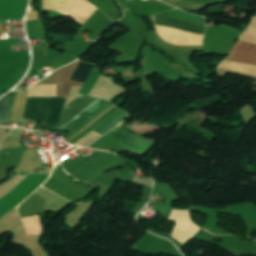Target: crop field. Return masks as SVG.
<instances>
[{"label":"crop field","mask_w":256,"mask_h":256,"mask_svg":"<svg viewBox=\"0 0 256 256\" xmlns=\"http://www.w3.org/2000/svg\"><path fill=\"white\" fill-rule=\"evenodd\" d=\"M16 211V209H14L13 211H11L10 213H8L5 217H3L1 220H0V222L3 220V219H5L6 217H8L9 215H11L13 212H15Z\"/></svg>","instance_id":"crop-field-7"},{"label":"crop field","mask_w":256,"mask_h":256,"mask_svg":"<svg viewBox=\"0 0 256 256\" xmlns=\"http://www.w3.org/2000/svg\"><path fill=\"white\" fill-rule=\"evenodd\" d=\"M95 100H97V98L81 95L77 99L69 103L67 106H65L57 129H60L61 127H63L66 123H68L76 115L82 112ZM110 104L111 103L101 101L98 99L61 129L71 130L69 133L71 134L74 130H76L81 125L86 123L88 120H90L92 117H94L96 114H98L100 111H102L104 108H106ZM127 116H128L127 113L121 111L113 115L112 117H110L108 120H106L104 123H102L93 131L102 135L107 131H109L110 129L114 128L116 125H118L120 121L127 118ZM93 131L74 145L86 147L101 136Z\"/></svg>","instance_id":"crop-field-1"},{"label":"crop field","mask_w":256,"mask_h":256,"mask_svg":"<svg viewBox=\"0 0 256 256\" xmlns=\"http://www.w3.org/2000/svg\"><path fill=\"white\" fill-rule=\"evenodd\" d=\"M152 22L157 25H163V26L174 27V28L190 30V31H195V32H201V33H203L205 30V27H203V26L182 23V22L165 19V18H160V17H153Z\"/></svg>","instance_id":"crop-field-4"},{"label":"crop field","mask_w":256,"mask_h":256,"mask_svg":"<svg viewBox=\"0 0 256 256\" xmlns=\"http://www.w3.org/2000/svg\"><path fill=\"white\" fill-rule=\"evenodd\" d=\"M104 137L141 154H145L154 144V142L129 134L118 127L111 130Z\"/></svg>","instance_id":"crop-field-3"},{"label":"crop field","mask_w":256,"mask_h":256,"mask_svg":"<svg viewBox=\"0 0 256 256\" xmlns=\"http://www.w3.org/2000/svg\"><path fill=\"white\" fill-rule=\"evenodd\" d=\"M92 67L93 65L80 62L79 66L77 67L76 71L72 75L71 79L84 82V80L90 73Z\"/></svg>","instance_id":"crop-field-6"},{"label":"crop field","mask_w":256,"mask_h":256,"mask_svg":"<svg viewBox=\"0 0 256 256\" xmlns=\"http://www.w3.org/2000/svg\"><path fill=\"white\" fill-rule=\"evenodd\" d=\"M67 98H27L23 119L57 127Z\"/></svg>","instance_id":"crop-field-2"},{"label":"crop field","mask_w":256,"mask_h":256,"mask_svg":"<svg viewBox=\"0 0 256 256\" xmlns=\"http://www.w3.org/2000/svg\"><path fill=\"white\" fill-rule=\"evenodd\" d=\"M15 94H16V92L15 93H11L10 97H9V94H8L7 96H5L2 99H0V125L2 124L4 112H5L7 101H8V97H9L7 109H6L4 120H3V124H2V125H6V126L8 125L10 114H11V110H12V106H13V102H14V98H15Z\"/></svg>","instance_id":"crop-field-5"}]
</instances>
